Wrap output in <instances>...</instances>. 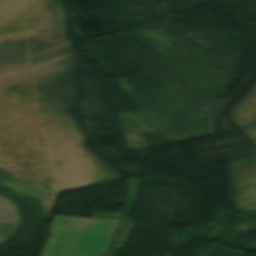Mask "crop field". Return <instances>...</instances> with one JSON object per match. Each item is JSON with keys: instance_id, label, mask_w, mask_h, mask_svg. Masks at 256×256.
Returning a JSON list of instances; mask_svg holds the SVG:
<instances>
[{"instance_id": "obj_2", "label": "crop field", "mask_w": 256, "mask_h": 256, "mask_svg": "<svg viewBox=\"0 0 256 256\" xmlns=\"http://www.w3.org/2000/svg\"><path fill=\"white\" fill-rule=\"evenodd\" d=\"M202 256H242V253L214 243Z\"/></svg>"}, {"instance_id": "obj_1", "label": "crop field", "mask_w": 256, "mask_h": 256, "mask_svg": "<svg viewBox=\"0 0 256 256\" xmlns=\"http://www.w3.org/2000/svg\"><path fill=\"white\" fill-rule=\"evenodd\" d=\"M118 221L58 216L41 256H101Z\"/></svg>"}]
</instances>
